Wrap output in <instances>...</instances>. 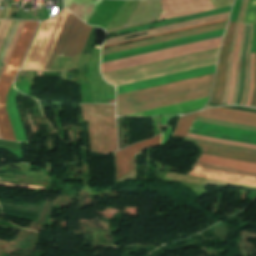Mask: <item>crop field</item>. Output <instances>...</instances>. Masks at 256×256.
I'll list each match as a JSON object with an SVG mask.
<instances>
[{"instance_id":"obj_23","label":"crop field","mask_w":256,"mask_h":256,"mask_svg":"<svg viewBox=\"0 0 256 256\" xmlns=\"http://www.w3.org/2000/svg\"><path fill=\"white\" fill-rule=\"evenodd\" d=\"M246 26H247V24H244L242 39H241L240 48H239L237 74H236L235 88H234V94H233V100H232V104H234V105H235L236 96L238 94V89H239L240 62H241L242 50H243V46H244Z\"/></svg>"},{"instance_id":"obj_17","label":"crop field","mask_w":256,"mask_h":256,"mask_svg":"<svg viewBox=\"0 0 256 256\" xmlns=\"http://www.w3.org/2000/svg\"><path fill=\"white\" fill-rule=\"evenodd\" d=\"M197 147L199 148L200 152L204 154H210V155H215V156H220V157H225V158H230L234 160L245 161V162L256 164V154H250V153L232 151V150H224V149H219V148L209 147V146H202V145H197Z\"/></svg>"},{"instance_id":"obj_41","label":"crop field","mask_w":256,"mask_h":256,"mask_svg":"<svg viewBox=\"0 0 256 256\" xmlns=\"http://www.w3.org/2000/svg\"><path fill=\"white\" fill-rule=\"evenodd\" d=\"M196 163H199V162H196ZM199 164H204V163H199ZM206 165H210V164H206ZM210 166H214V167H218V168H223V169H229V168H225V167H221V166H216V165H210ZM230 170H233V169H230ZM235 171H238V170H235ZM240 172H242V171H240ZM245 173H249V172H245ZM249 174L256 175V173H249Z\"/></svg>"},{"instance_id":"obj_34","label":"crop field","mask_w":256,"mask_h":256,"mask_svg":"<svg viewBox=\"0 0 256 256\" xmlns=\"http://www.w3.org/2000/svg\"><path fill=\"white\" fill-rule=\"evenodd\" d=\"M12 21L13 20H5L4 22L2 21L3 24H2V26L0 28V48H1L2 44H3V41H4V39H5L6 35H7V32L9 30V28H10V25H11Z\"/></svg>"},{"instance_id":"obj_13","label":"crop field","mask_w":256,"mask_h":256,"mask_svg":"<svg viewBox=\"0 0 256 256\" xmlns=\"http://www.w3.org/2000/svg\"><path fill=\"white\" fill-rule=\"evenodd\" d=\"M229 13L230 12L215 15V16H210V17H206V18H201V19H197V20H192V21H188V22H183V23H179V24L160 27V28H156V29H151V30H147V31H142V32H138V33H133V34H129V35H124V36H120V37L111 38V39L106 40L104 46L113 44V43L126 41V40L139 38V37H144V36H148V35H152V34H157V33L165 32V31H170V30H174V29H179V28H183V27H187V26H192V25H196V24H200V23H205V22H209V21H213V20L226 18L229 16ZM156 31H158V32H156ZM152 32H156V33H152ZM148 33H152V34H148ZM143 34H148V35L139 36V35H143ZM134 36H139V37L130 38V37H134ZM125 38H130V39H125ZM121 39H125V40H121ZM118 40H121V41H118Z\"/></svg>"},{"instance_id":"obj_43","label":"crop field","mask_w":256,"mask_h":256,"mask_svg":"<svg viewBox=\"0 0 256 256\" xmlns=\"http://www.w3.org/2000/svg\"><path fill=\"white\" fill-rule=\"evenodd\" d=\"M254 106H256V100H255V104H254Z\"/></svg>"},{"instance_id":"obj_37","label":"crop field","mask_w":256,"mask_h":256,"mask_svg":"<svg viewBox=\"0 0 256 256\" xmlns=\"http://www.w3.org/2000/svg\"><path fill=\"white\" fill-rule=\"evenodd\" d=\"M255 95H256V60H255V69H254V90H253V95H252L251 104H250V106L252 107L254 104Z\"/></svg>"},{"instance_id":"obj_18","label":"crop field","mask_w":256,"mask_h":256,"mask_svg":"<svg viewBox=\"0 0 256 256\" xmlns=\"http://www.w3.org/2000/svg\"><path fill=\"white\" fill-rule=\"evenodd\" d=\"M164 179L179 181V182L199 183V184H208V185H216V186L225 185V186L241 187V188H248V189H256V187H253V186L240 185V184L219 181L214 179H204V178L195 177L191 175L181 176V175L167 173Z\"/></svg>"},{"instance_id":"obj_9","label":"crop field","mask_w":256,"mask_h":256,"mask_svg":"<svg viewBox=\"0 0 256 256\" xmlns=\"http://www.w3.org/2000/svg\"><path fill=\"white\" fill-rule=\"evenodd\" d=\"M161 135L115 152L117 180L134 170L133 155L152 146L159 145Z\"/></svg>"},{"instance_id":"obj_32","label":"crop field","mask_w":256,"mask_h":256,"mask_svg":"<svg viewBox=\"0 0 256 256\" xmlns=\"http://www.w3.org/2000/svg\"><path fill=\"white\" fill-rule=\"evenodd\" d=\"M188 137H194V138H199V139H204V140H210V141H215V142H220V143H226V144H232V145H238V146H244V147H250V148H255L256 145H250V144H245V143H239V142H233V141H224L220 139H214V138H208V137H202V136H197L193 134H187Z\"/></svg>"},{"instance_id":"obj_2","label":"crop field","mask_w":256,"mask_h":256,"mask_svg":"<svg viewBox=\"0 0 256 256\" xmlns=\"http://www.w3.org/2000/svg\"><path fill=\"white\" fill-rule=\"evenodd\" d=\"M68 13L64 8L60 14L41 23L21 69L44 70ZM91 28L69 13L44 71L51 70L56 55L72 58L80 54Z\"/></svg>"},{"instance_id":"obj_7","label":"crop field","mask_w":256,"mask_h":256,"mask_svg":"<svg viewBox=\"0 0 256 256\" xmlns=\"http://www.w3.org/2000/svg\"><path fill=\"white\" fill-rule=\"evenodd\" d=\"M235 24H236L235 22L229 23L228 29L226 31V34L221 46L220 58H219V64H218V69H217L216 78H215L214 89L210 98V101H213V102H219V103L222 102L225 82H226V81H223V79L226 78V65H227V59L230 51V45L232 42Z\"/></svg>"},{"instance_id":"obj_45","label":"crop field","mask_w":256,"mask_h":256,"mask_svg":"<svg viewBox=\"0 0 256 256\" xmlns=\"http://www.w3.org/2000/svg\"><path fill=\"white\" fill-rule=\"evenodd\" d=\"M207 107H211V106H207ZM206 108V107H205Z\"/></svg>"},{"instance_id":"obj_11","label":"crop field","mask_w":256,"mask_h":256,"mask_svg":"<svg viewBox=\"0 0 256 256\" xmlns=\"http://www.w3.org/2000/svg\"><path fill=\"white\" fill-rule=\"evenodd\" d=\"M226 23L227 22L204 27V28H199V29H195V30H191V31H186V32L178 33V34L164 36V37H160V38H156V39H151V40H147V41H143V42H138V43H134V44H130V45H125V46H121V47H117V48L104 50L101 52V56L116 53V52H121V51H125V50H130V49H134V48H138V47H143V46H147V45H152V44H156V43H161V42H165V41H170V40H174V39H179V38H183V37H188V36L201 34V33H205V32H210V31H214V30L223 29L226 27Z\"/></svg>"},{"instance_id":"obj_8","label":"crop field","mask_w":256,"mask_h":256,"mask_svg":"<svg viewBox=\"0 0 256 256\" xmlns=\"http://www.w3.org/2000/svg\"><path fill=\"white\" fill-rule=\"evenodd\" d=\"M224 30L225 29L210 32V33H205V34H201V35H196V36H192V37H188V38H183V39H179V40H174V41H170V42H165V43H161V44H156V45H152V46H147V47H143V48H138V49H134V50H130V51H125V52H121V53H116V54H112V55L103 56V57H101L102 63L111 61V60H116V59H120V58L133 56V55L147 53V52H151V51H155V50L169 48V47H173V46H177V45L191 43V42H195V41H199V40H204V39H208V38L221 36L224 34Z\"/></svg>"},{"instance_id":"obj_22","label":"crop field","mask_w":256,"mask_h":256,"mask_svg":"<svg viewBox=\"0 0 256 256\" xmlns=\"http://www.w3.org/2000/svg\"><path fill=\"white\" fill-rule=\"evenodd\" d=\"M184 141L191 142V143H196V144H202V145L215 146V147H219V148L233 149V150L245 151V152H250V153H256L255 149L231 146V145H226V144H220V143H214V142H208V141H201V140H195V139H189V138H185Z\"/></svg>"},{"instance_id":"obj_3","label":"crop field","mask_w":256,"mask_h":256,"mask_svg":"<svg viewBox=\"0 0 256 256\" xmlns=\"http://www.w3.org/2000/svg\"><path fill=\"white\" fill-rule=\"evenodd\" d=\"M83 120L88 121L90 150L109 153L117 149L115 106L81 105Z\"/></svg>"},{"instance_id":"obj_28","label":"crop field","mask_w":256,"mask_h":256,"mask_svg":"<svg viewBox=\"0 0 256 256\" xmlns=\"http://www.w3.org/2000/svg\"><path fill=\"white\" fill-rule=\"evenodd\" d=\"M196 120L202 121V122H207V123H212V124H217V125H222V126H227V127H232V128L256 131V127H252V126L232 124V123H227V122H223V121L200 118V117H197Z\"/></svg>"},{"instance_id":"obj_27","label":"crop field","mask_w":256,"mask_h":256,"mask_svg":"<svg viewBox=\"0 0 256 256\" xmlns=\"http://www.w3.org/2000/svg\"><path fill=\"white\" fill-rule=\"evenodd\" d=\"M239 25L240 24H238V23L236 25L233 43H232V47H231V51H230V55H229V61H228V67H227V83H226V90H225V94H224L223 103H226V100H227V93H228L229 82H230L231 62H232V57H233V52H234L235 42H236V38H237V34H238Z\"/></svg>"},{"instance_id":"obj_39","label":"crop field","mask_w":256,"mask_h":256,"mask_svg":"<svg viewBox=\"0 0 256 256\" xmlns=\"http://www.w3.org/2000/svg\"><path fill=\"white\" fill-rule=\"evenodd\" d=\"M195 165H197V164H195ZM199 166L209 167V168H213V169H217V170H221V171H225V172L238 173V172H233V171H228V170H222V169H218V168H214V167H210V166H206V165H199ZM238 174H244V173H238ZM244 175H248V174H244ZM251 176H252V175H251Z\"/></svg>"},{"instance_id":"obj_44","label":"crop field","mask_w":256,"mask_h":256,"mask_svg":"<svg viewBox=\"0 0 256 256\" xmlns=\"http://www.w3.org/2000/svg\"><path fill=\"white\" fill-rule=\"evenodd\" d=\"M1 24H2V21H0V26H1Z\"/></svg>"},{"instance_id":"obj_25","label":"crop field","mask_w":256,"mask_h":256,"mask_svg":"<svg viewBox=\"0 0 256 256\" xmlns=\"http://www.w3.org/2000/svg\"><path fill=\"white\" fill-rule=\"evenodd\" d=\"M188 174L200 176V177H204V178H214V179H220V180H225V181H230V182H235V183H240V184L256 186V182L232 179V178H227V177H223V176L207 174V173H203V172L189 171Z\"/></svg>"},{"instance_id":"obj_14","label":"crop field","mask_w":256,"mask_h":256,"mask_svg":"<svg viewBox=\"0 0 256 256\" xmlns=\"http://www.w3.org/2000/svg\"><path fill=\"white\" fill-rule=\"evenodd\" d=\"M6 110L13 128L16 140L19 142L28 141L25 129L23 127V124L17 109L16 90L13 87V83L7 94Z\"/></svg>"},{"instance_id":"obj_33","label":"crop field","mask_w":256,"mask_h":256,"mask_svg":"<svg viewBox=\"0 0 256 256\" xmlns=\"http://www.w3.org/2000/svg\"><path fill=\"white\" fill-rule=\"evenodd\" d=\"M254 59H255V54H251V61H250V86H249V93L247 95L246 104H245L247 106H249V104H250L251 94H252V90H253Z\"/></svg>"},{"instance_id":"obj_29","label":"crop field","mask_w":256,"mask_h":256,"mask_svg":"<svg viewBox=\"0 0 256 256\" xmlns=\"http://www.w3.org/2000/svg\"><path fill=\"white\" fill-rule=\"evenodd\" d=\"M244 23H256V0H249Z\"/></svg>"},{"instance_id":"obj_12","label":"crop field","mask_w":256,"mask_h":256,"mask_svg":"<svg viewBox=\"0 0 256 256\" xmlns=\"http://www.w3.org/2000/svg\"><path fill=\"white\" fill-rule=\"evenodd\" d=\"M200 117L214 118L238 124L256 126V113L236 111L226 108H212L199 113Z\"/></svg>"},{"instance_id":"obj_38","label":"crop field","mask_w":256,"mask_h":256,"mask_svg":"<svg viewBox=\"0 0 256 256\" xmlns=\"http://www.w3.org/2000/svg\"><path fill=\"white\" fill-rule=\"evenodd\" d=\"M253 28H254V24H253V27H252V36H253ZM251 44H252V39H251ZM250 50H251V45H250ZM249 61H250V51H249ZM248 86H249V62H248V83H247V90H248ZM247 94V92H246ZM245 99H246V96H245ZM244 103H245V100H244ZM244 105V104H243Z\"/></svg>"},{"instance_id":"obj_1","label":"crop field","mask_w":256,"mask_h":256,"mask_svg":"<svg viewBox=\"0 0 256 256\" xmlns=\"http://www.w3.org/2000/svg\"><path fill=\"white\" fill-rule=\"evenodd\" d=\"M213 78L214 74L119 95L117 96V116L130 115L207 97L210 94ZM208 98L209 97L130 116L148 117L180 114L204 107Z\"/></svg>"},{"instance_id":"obj_30","label":"crop field","mask_w":256,"mask_h":256,"mask_svg":"<svg viewBox=\"0 0 256 256\" xmlns=\"http://www.w3.org/2000/svg\"><path fill=\"white\" fill-rule=\"evenodd\" d=\"M24 22H25V21H21V22H20V24H19V26H18V28H17V31H16V33H15V35H14V38H13L11 44H10V47H9V49H8V51H7V54H6V56H5L4 60H3V63H2V65H1V67H0V77H1V75H2V73H3V70H4L5 66H6V63H7L8 59H9V56H10V54H11V52H12V49H13V47H14V45H15V42H16L18 36H19V33H20L21 29H22V26H23ZM0 139H2V138H1V135H0Z\"/></svg>"},{"instance_id":"obj_15","label":"crop field","mask_w":256,"mask_h":256,"mask_svg":"<svg viewBox=\"0 0 256 256\" xmlns=\"http://www.w3.org/2000/svg\"><path fill=\"white\" fill-rule=\"evenodd\" d=\"M191 128L213 132V133H219V134H223L231 137L256 140V132L231 129L227 127H222V126H217V125H212V124H207V123H202L197 121H194Z\"/></svg>"},{"instance_id":"obj_26","label":"crop field","mask_w":256,"mask_h":256,"mask_svg":"<svg viewBox=\"0 0 256 256\" xmlns=\"http://www.w3.org/2000/svg\"><path fill=\"white\" fill-rule=\"evenodd\" d=\"M192 170L203 171V172H207V173L218 174V175H223V176L232 177V178L256 181L255 177H249V176H243V175H237V174H230V173H225V172H221V171H217V170H213V169H208V168H204V167L193 166Z\"/></svg>"},{"instance_id":"obj_40","label":"crop field","mask_w":256,"mask_h":256,"mask_svg":"<svg viewBox=\"0 0 256 256\" xmlns=\"http://www.w3.org/2000/svg\"><path fill=\"white\" fill-rule=\"evenodd\" d=\"M9 150L10 152H12L13 154L23 158V155H22V151H18V150H11V149H7Z\"/></svg>"},{"instance_id":"obj_16","label":"crop field","mask_w":256,"mask_h":256,"mask_svg":"<svg viewBox=\"0 0 256 256\" xmlns=\"http://www.w3.org/2000/svg\"><path fill=\"white\" fill-rule=\"evenodd\" d=\"M102 0H64L67 8L87 23Z\"/></svg>"},{"instance_id":"obj_24","label":"crop field","mask_w":256,"mask_h":256,"mask_svg":"<svg viewBox=\"0 0 256 256\" xmlns=\"http://www.w3.org/2000/svg\"><path fill=\"white\" fill-rule=\"evenodd\" d=\"M242 27H243V24H241V26H240V30H239V34H238V38H237V42H236L233 63H232L230 94H229L227 104H231V100H232V93H233V88H234L235 72H236V57H237L239 42H240V38H241Z\"/></svg>"},{"instance_id":"obj_19","label":"crop field","mask_w":256,"mask_h":256,"mask_svg":"<svg viewBox=\"0 0 256 256\" xmlns=\"http://www.w3.org/2000/svg\"><path fill=\"white\" fill-rule=\"evenodd\" d=\"M198 161L204 162V163L221 165V166L238 169L242 171L256 172L255 164L239 162V161L229 160L225 158L210 156V155L202 154L201 157L198 159Z\"/></svg>"},{"instance_id":"obj_20","label":"crop field","mask_w":256,"mask_h":256,"mask_svg":"<svg viewBox=\"0 0 256 256\" xmlns=\"http://www.w3.org/2000/svg\"><path fill=\"white\" fill-rule=\"evenodd\" d=\"M231 7L232 6L217 9V10H212V11H208V12L198 13V14H194V15H189V16H185V17H180V18H176V19H171V20H167V21H162V22H158V23H153V24H149V25L130 28V29H126V30H121V31H117L115 33H116V35H119V34H123V33H128V32L137 31V30L146 29V28H151V27L169 24V23H173V22H178V21H182V20L188 21V20H192V19H197V18H201V17L224 13V12L230 11Z\"/></svg>"},{"instance_id":"obj_21","label":"crop field","mask_w":256,"mask_h":256,"mask_svg":"<svg viewBox=\"0 0 256 256\" xmlns=\"http://www.w3.org/2000/svg\"><path fill=\"white\" fill-rule=\"evenodd\" d=\"M198 113L199 112L191 115L181 116L173 135L184 138L190 125L192 124Z\"/></svg>"},{"instance_id":"obj_5","label":"crop field","mask_w":256,"mask_h":256,"mask_svg":"<svg viewBox=\"0 0 256 256\" xmlns=\"http://www.w3.org/2000/svg\"><path fill=\"white\" fill-rule=\"evenodd\" d=\"M222 37L223 36L103 63L101 64V71H102V74H104L112 71H117V70L139 66L147 63H152L156 61H161L169 58H174L182 55H187L195 52L217 48L220 46Z\"/></svg>"},{"instance_id":"obj_42","label":"crop field","mask_w":256,"mask_h":256,"mask_svg":"<svg viewBox=\"0 0 256 256\" xmlns=\"http://www.w3.org/2000/svg\"><path fill=\"white\" fill-rule=\"evenodd\" d=\"M21 13H22V11H21V10H19V11H18V13H17V15H16V18H15V19H19V18H20Z\"/></svg>"},{"instance_id":"obj_31","label":"crop field","mask_w":256,"mask_h":256,"mask_svg":"<svg viewBox=\"0 0 256 256\" xmlns=\"http://www.w3.org/2000/svg\"><path fill=\"white\" fill-rule=\"evenodd\" d=\"M189 132L198 134V135H202V136H208V137L220 138V139H225V140H233V141L245 142V143H250V144H256V141L231 138V137H226V136L219 135V134H213V133H208V132H203V131H198V130L190 129Z\"/></svg>"},{"instance_id":"obj_35","label":"crop field","mask_w":256,"mask_h":256,"mask_svg":"<svg viewBox=\"0 0 256 256\" xmlns=\"http://www.w3.org/2000/svg\"><path fill=\"white\" fill-rule=\"evenodd\" d=\"M226 19H222V20H218V21H213V22H209V23H205V24H200V25H196V26H192V27H187V28H183V29H179V30H174V31H170V32H166V33H161V34H157V35H152V36H148V37H144V38H149V37H153V36H158V35H162V34H167V33H171V32H176V31H180V30H185V29H189V28H194V27H198V26H203V25H207V24H212V23H216V22H221V21H225ZM144 38H139V39H135V40H140V39H144ZM135 40H131V41H135ZM131 41H126V42H131ZM126 42H122V43H126ZM122 43H118V44H122ZM113 45H117V44H113ZM113 45H109V46H113ZM108 47V46H105ZM104 48V47H102Z\"/></svg>"},{"instance_id":"obj_10","label":"crop field","mask_w":256,"mask_h":256,"mask_svg":"<svg viewBox=\"0 0 256 256\" xmlns=\"http://www.w3.org/2000/svg\"><path fill=\"white\" fill-rule=\"evenodd\" d=\"M215 66L216 65L201 68V69L191 70V71H187V72H182V73H178V74H173V75H169V76H164V77H160V78H155V79H151V80L132 83V84H128V85L119 86V87H117V94L132 91V90H137V89H141V88H145V87H150V86H154V85H159V84H163V83H168V82H172V81H177V80H181V79H186V78H190V77H194V76H199V75H203V74L212 73L215 70Z\"/></svg>"},{"instance_id":"obj_36","label":"crop field","mask_w":256,"mask_h":256,"mask_svg":"<svg viewBox=\"0 0 256 256\" xmlns=\"http://www.w3.org/2000/svg\"><path fill=\"white\" fill-rule=\"evenodd\" d=\"M252 27V24H251ZM250 38H251V28H250ZM250 38H249V45H250ZM249 45H248V49H247V53H246V60H245V84H244V91H243V97H242V103L243 104V100H244V96H245V92H246V82H247V62H248V51H249Z\"/></svg>"},{"instance_id":"obj_6","label":"crop field","mask_w":256,"mask_h":256,"mask_svg":"<svg viewBox=\"0 0 256 256\" xmlns=\"http://www.w3.org/2000/svg\"><path fill=\"white\" fill-rule=\"evenodd\" d=\"M215 8L211 0H209ZM208 0H162L161 15L158 20L171 17L194 14L198 12L212 10L213 7ZM157 20V21H158Z\"/></svg>"},{"instance_id":"obj_4","label":"crop field","mask_w":256,"mask_h":256,"mask_svg":"<svg viewBox=\"0 0 256 256\" xmlns=\"http://www.w3.org/2000/svg\"><path fill=\"white\" fill-rule=\"evenodd\" d=\"M38 22L26 21L0 79V132L3 139L15 140L6 110V94L24 56Z\"/></svg>"}]
</instances>
